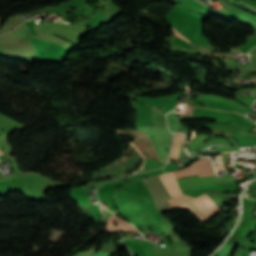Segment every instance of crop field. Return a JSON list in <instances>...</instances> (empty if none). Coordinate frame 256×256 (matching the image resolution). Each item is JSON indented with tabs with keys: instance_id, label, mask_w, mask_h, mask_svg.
Masks as SVG:
<instances>
[{
	"instance_id": "obj_5",
	"label": "crop field",
	"mask_w": 256,
	"mask_h": 256,
	"mask_svg": "<svg viewBox=\"0 0 256 256\" xmlns=\"http://www.w3.org/2000/svg\"><path fill=\"white\" fill-rule=\"evenodd\" d=\"M179 207H183V208L189 209L192 213H194L202 221L206 220L191 204H189L187 202L182 204V205H180Z\"/></svg>"
},
{
	"instance_id": "obj_3",
	"label": "crop field",
	"mask_w": 256,
	"mask_h": 256,
	"mask_svg": "<svg viewBox=\"0 0 256 256\" xmlns=\"http://www.w3.org/2000/svg\"><path fill=\"white\" fill-rule=\"evenodd\" d=\"M114 222L118 223V226H114L113 225ZM106 223H107L106 231H108L110 233L114 230L137 232V230L135 228H133L128 222H126L114 215L110 216Z\"/></svg>"
},
{
	"instance_id": "obj_6",
	"label": "crop field",
	"mask_w": 256,
	"mask_h": 256,
	"mask_svg": "<svg viewBox=\"0 0 256 256\" xmlns=\"http://www.w3.org/2000/svg\"><path fill=\"white\" fill-rule=\"evenodd\" d=\"M95 246H92V248L88 251L82 252L79 256H92L94 253Z\"/></svg>"
},
{
	"instance_id": "obj_7",
	"label": "crop field",
	"mask_w": 256,
	"mask_h": 256,
	"mask_svg": "<svg viewBox=\"0 0 256 256\" xmlns=\"http://www.w3.org/2000/svg\"><path fill=\"white\" fill-rule=\"evenodd\" d=\"M172 30H173V32H174L176 35L180 36L182 39H184V40H186V41H188V42H191V41H189L187 38H185L183 35H181L174 27L172 28Z\"/></svg>"
},
{
	"instance_id": "obj_9",
	"label": "crop field",
	"mask_w": 256,
	"mask_h": 256,
	"mask_svg": "<svg viewBox=\"0 0 256 256\" xmlns=\"http://www.w3.org/2000/svg\"><path fill=\"white\" fill-rule=\"evenodd\" d=\"M191 45V44H190ZM193 45H191V47H192Z\"/></svg>"
},
{
	"instance_id": "obj_1",
	"label": "crop field",
	"mask_w": 256,
	"mask_h": 256,
	"mask_svg": "<svg viewBox=\"0 0 256 256\" xmlns=\"http://www.w3.org/2000/svg\"><path fill=\"white\" fill-rule=\"evenodd\" d=\"M189 202L207 219L222 209L217 207L205 193Z\"/></svg>"
},
{
	"instance_id": "obj_8",
	"label": "crop field",
	"mask_w": 256,
	"mask_h": 256,
	"mask_svg": "<svg viewBox=\"0 0 256 256\" xmlns=\"http://www.w3.org/2000/svg\"><path fill=\"white\" fill-rule=\"evenodd\" d=\"M197 1H199V0H197ZM200 3H202L203 5H205L203 2H201V1H199ZM205 6H207V5H205Z\"/></svg>"
},
{
	"instance_id": "obj_4",
	"label": "crop field",
	"mask_w": 256,
	"mask_h": 256,
	"mask_svg": "<svg viewBox=\"0 0 256 256\" xmlns=\"http://www.w3.org/2000/svg\"><path fill=\"white\" fill-rule=\"evenodd\" d=\"M160 177H161L166 189L172 196V198L182 195V192H181L172 172L168 173L166 175H162Z\"/></svg>"
},
{
	"instance_id": "obj_2",
	"label": "crop field",
	"mask_w": 256,
	"mask_h": 256,
	"mask_svg": "<svg viewBox=\"0 0 256 256\" xmlns=\"http://www.w3.org/2000/svg\"><path fill=\"white\" fill-rule=\"evenodd\" d=\"M52 36H47L42 33H39L37 35H34L31 38V42L33 46L36 49L37 56L35 61H44L46 57V53L50 44ZM41 53H43L45 56H42Z\"/></svg>"
}]
</instances>
